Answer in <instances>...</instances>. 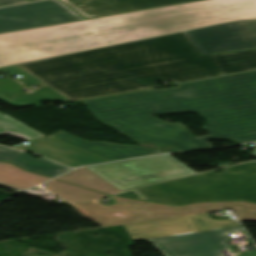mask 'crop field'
<instances>
[{
    "mask_svg": "<svg viewBox=\"0 0 256 256\" xmlns=\"http://www.w3.org/2000/svg\"><path fill=\"white\" fill-rule=\"evenodd\" d=\"M49 137L109 161L161 154L150 149L133 145H115L108 142H86L63 131Z\"/></svg>",
    "mask_w": 256,
    "mask_h": 256,
    "instance_id": "d1516ede",
    "label": "crop field"
},
{
    "mask_svg": "<svg viewBox=\"0 0 256 256\" xmlns=\"http://www.w3.org/2000/svg\"><path fill=\"white\" fill-rule=\"evenodd\" d=\"M0 71L4 72V73H7V74H10V75L21 74L23 77H26L28 79L26 81H23L24 85H29V84H33V83H38V84L42 83L38 79L33 77L32 75L28 74L24 70L17 67L16 65L10 66V67H5V68H0Z\"/></svg>",
    "mask_w": 256,
    "mask_h": 256,
    "instance_id": "92a150f3",
    "label": "crop field"
},
{
    "mask_svg": "<svg viewBox=\"0 0 256 256\" xmlns=\"http://www.w3.org/2000/svg\"><path fill=\"white\" fill-rule=\"evenodd\" d=\"M70 101L256 69V50L201 55L183 32L18 64Z\"/></svg>",
    "mask_w": 256,
    "mask_h": 256,
    "instance_id": "8a807250",
    "label": "crop field"
},
{
    "mask_svg": "<svg viewBox=\"0 0 256 256\" xmlns=\"http://www.w3.org/2000/svg\"><path fill=\"white\" fill-rule=\"evenodd\" d=\"M82 16H94L135 11L144 8L192 0H60Z\"/></svg>",
    "mask_w": 256,
    "mask_h": 256,
    "instance_id": "3316defc",
    "label": "crop field"
},
{
    "mask_svg": "<svg viewBox=\"0 0 256 256\" xmlns=\"http://www.w3.org/2000/svg\"><path fill=\"white\" fill-rule=\"evenodd\" d=\"M10 133L28 141L43 137V135L20 123L6 114H0V134Z\"/></svg>",
    "mask_w": 256,
    "mask_h": 256,
    "instance_id": "bc2a9ffb",
    "label": "crop field"
},
{
    "mask_svg": "<svg viewBox=\"0 0 256 256\" xmlns=\"http://www.w3.org/2000/svg\"><path fill=\"white\" fill-rule=\"evenodd\" d=\"M184 33L201 54L256 48V21L227 23Z\"/></svg>",
    "mask_w": 256,
    "mask_h": 256,
    "instance_id": "e52e79f7",
    "label": "crop field"
},
{
    "mask_svg": "<svg viewBox=\"0 0 256 256\" xmlns=\"http://www.w3.org/2000/svg\"><path fill=\"white\" fill-rule=\"evenodd\" d=\"M242 227L186 234L150 240L166 256H222L228 250L224 242L228 233L241 232ZM234 256H256V250Z\"/></svg>",
    "mask_w": 256,
    "mask_h": 256,
    "instance_id": "d8731c3e",
    "label": "crop field"
},
{
    "mask_svg": "<svg viewBox=\"0 0 256 256\" xmlns=\"http://www.w3.org/2000/svg\"><path fill=\"white\" fill-rule=\"evenodd\" d=\"M133 241L198 232L189 216L124 225Z\"/></svg>",
    "mask_w": 256,
    "mask_h": 256,
    "instance_id": "22f410ed",
    "label": "crop field"
},
{
    "mask_svg": "<svg viewBox=\"0 0 256 256\" xmlns=\"http://www.w3.org/2000/svg\"><path fill=\"white\" fill-rule=\"evenodd\" d=\"M56 179L65 180L111 195H114L115 193L119 192L116 188H114L109 183L101 179L99 176L90 172L85 167L78 168Z\"/></svg>",
    "mask_w": 256,
    "mask_h": 256,
    "instance_id": "733c2abd",
    "label": "crop field"
},
{
    "mask_svg": "<svg viewBox=\"0 0 256 256\" xmlns=\"http://www.w3.org/2000/svg\"><path fill=\"white\" fill-rule=\"evenodd\" d=\"M49 180L44 176L24 172L17 167L0 163V184L15 189H27Z\"/></svg>",
    "mask_w": 256,
    "mask_h": 256,
    "instance_id": "d9b57169",
    "label": "crop field"
},
{
    "mask_svg": "<svg viewBox=\"0 0 256 256\" xmlns=\"http://www.w3.org/2000/svg\"><path fill=\"white\" fill-rule=\"evenodd\" d=\"M191 217L193 218L199 232L239 226L236 221L212 220L206 213L191 215Z\"/></svg>",
    "mask_w": 256,
    "mask_h": 256,
    "instance_id": "214f88e0",
    "label": "crop field"
},
{
    "mask_svg": "<svg viewBox=\"0 0 256 256\" xmlns=\"http://www.w3.org/2000/svg\"><path fill=\"white\" fill-rule=\"evenodd\" d=\"M118 196H123V197H129V198H135V199L143 200L134 190L121 193Z\"/></svg>",
    "mask_w": 256,
    "mask_h": 256,
    "instance_id": "dafd665d",
    "label": "crop field"
},
{
    "mask_svg": "<svg viewBox=\"0 0 256 256\" xmlns=\"http://www.w3.org/2000/svg\"><path fill=\"white\" fill-rule=\"evenodd\" d=\"M0 99H3L8 104L15 106L34 105L41 100L68 101L62 95L48 87L39 89L35 93L28 95L21 90V85L12 79L0 80Z\"/></svg>",
    "mask_w": 256,
    "mask_h": 256,
    "instance_id": "cbeb9de0",
    "label": "crop field"
},
{
    "mask_svg": "<svg viewBox=\"0 0 256 256\" xmlns=\"http://www.w3.org/2000/svg\"><path fill=\"white\" fill-rule=\"evenodd\" d=\"M18 148L32 153L41 154L47 158L55 160L59 163L70 167L83 166L93 163L108 162L100 159L92 154L75 149L68 145L54 141L49 137H44L35 141H31L28 145H18Z\"/></svg>",
    "mask_w": 256,
    "mask_h": 256,
    "instance_id": "28ad6ade",
    "label": "crop field"
},
{
    "mask_svg": "<svg viewBox=\"0 0 256 256\" xmlns=\"http://www.w3.org/2000/svg\"><path fill=\"white\" fill-rule=\"evenodd\" d=\"M83 19L57 0L0 8V32Z\"/></svg>",
    "mask_w": 256,
    "mask_h": 256,
    "instance_id": "5a996713",
    "label": "crop field"
},
{
    "mask_svg": "<svg viewBox=\"0 0 256 256\" xmlns=\"http://www.w3.org/2000/svg\"><path fill=\"white\" fill-rule=\"evenodd\" d=\"M252 155L256 156V148H255L254 151L252 152Z\"/></svg>",
    "mask_w": 256,
    "mask_h": 256,
    "instance_id": "4177f3b9",
    "label": "crop field"
},
{
    "mask_svg": "<svg viewBox=\"0 0 256 256\" xmlns=\"http://www.w3.org/2000/svg\"><path fill=\"white\" fill-rule=\"evenodd\" d=\"M21 2H26V0H0V6L12 5Z\"/></svg>",
    "mask_w": 256,
    "mask_h": 256,
    "instance_id": "00972430",
    "label": "crop field"
},
{
    "mask_svg": "<svg viewBox=\"0 0 256 256\" xmlns=\"http://www.w3.org/2000/svg\"><path fill=\"white\" fill-rule=\"evenodd\" d=\"M46 185L49 186L46 190L54 193L55 195L69 201V202H77V201H91L98 200L107 195L100 194L91 190L75 187L60 181H51Z\"/></svg>",
    "mask_w": 256,
    "mask_h": 256,
    "instance_id": "4a817a6b",
    "label": "crop field"
},
{
    "mask_svg": "<svg viewBox=\"0 0 256 256\" xmlns=\"http://www.w3.org/2000/svg\"><path fill=\"white\" fill-rule=\"evenodd\" d=\"M102 123H104L105 125H107V126L113 128V129H115L116 131H118V132H120V133H122V134H125V133H123L122 131H120L119 129H117L116 127H114L113 125L109 124V123L106 122V121H102ZM125 135H127V134H125Z\"/></svg>",
    "mask_w": 256,
    "mask_h": 256,
    "instance_id": "a9b5d70f",
    "label": "crop field"
},
{
    "mask_svg": "<svg viewBox=\"0 0 256 256\" xmlns=\"http://www.w3.org/2000/svg\"><path fill=\"white\" fill-rule=\"evenodd\" d=\"M87 168L120 191L195 174L169 155L87 166Z\"/></svg>",
    "mask_w": 256,
    "mask_h": 256,
    "instance_id": "dd49c442",
    "label": "crop field"
},
{
    "mask_svg": "<svg viewBox=\"0 0 256 256\" xmlns=\"http://www.w3.org/2000/svg\"><path fill=\"white\" fill-rule=\"evenodd\" d=\"M114 199L116 205L110 206H104L100 202L72 205L83 217L104 227L227 208H231L239 220L256 221V204L249 202L201 203L184 207H173L126 198L114 197Z\"/></svg>",
    "mask_w": 256,
    "mask_h": 256,
    "instance_id": "f4fd0767",
    "label": "crop field"
},
{
    "mask_svg": "<svg viewBox=\"0 0 256 256\" xmlns=\"http://www.w3.org/2000/svg\"><path fill=\"white\" fill-rule=\"evenodd\" d=\"M256 0H207L0 34V66L234 20Z\"/></svg>",
    "mask_w": 256,
    "mask_h": 256,
    "instance_id": "34b2d1b8",
    "label": "crop field"
},
{
    "mask_svg": "<svg viewBox=\"0 0 256 256\" xmlns=\"http://www.w3.org/2000/svg\"><path fill=\"white\" fill-rule=\"evenodd\" d=\"M136 191L148 201L172 205L223 200L256 202V162L226 168L223 173L209 172Z\"/></svg>",
    "mask_w": 256,
    "mask_h": 256,
    "instance_id": "412701ff",
    "label": "crop field"
},
{
    "mask_svg": "<svg viewBox=\"0 0 256 256\" xmlns=\"http://www.w3.org/2000/svg\"><path fill=\"white\" fill-rule=\"evenodd\" d=\"M0 160L9 161L21 166L24 169L55 177L71 169L57 164L45 157L36 159L25 152L0 146Z\"/></svg>",
    "mask_w": 256,
    "mask_h": 256,
    "instance_id": "5142ce71",
    "label": "crop field"
},
{
    "mask_svg": "<svg viewBox=\"0 0 256 256\" xmlns=\"http://www.w3.org/2000/svg\"><path fill=\"white\" fill-rule=\"evenodd\" d=\"M83 102L99 120L108 121L132 139L179 151L210 147V139L256 140V72ZM191 111L207 120L202 128L211 135L195 138L180 123L168 124L151 116Z\"/></svg>",
    "mask_w": 256,
    "mask_h": 256,
    "instance_id": "ac0d7876",
    "label": "crop field"
}]
</instances>
